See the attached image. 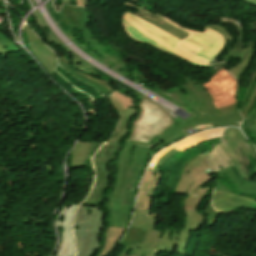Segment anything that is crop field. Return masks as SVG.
Returning a JSON list of instances; mask_svg holds the SVG:
<instances>
[{
    "label": "crop field",
    "mask_w": 256,
    "mask_h": 256,
    "mask_svg": "<svg viewBox=\"0 0 256 256\" xmlns=\"http://www.w3.org/2000/svg\"><path fill=\"white\" fill-rule=\"evenodd\" d=\"M162 174L146 171L140 185L137 205L131 225L121 243L126 252L135 254L148 253L145 256H158L160 251L172 252L178 245L177 253L185 255L191 230H197L202 225L203 213L185 212V223L182 231L165 229V232L155 231V211L150 212V194Z\"/></svg>",
    "instance_id": "1"
},
{
    "label": "crop field",
    "mask_w": 256,
    "mask_h": 256,
    "mask_svg": "<svg viewBox=\"0 0 256 256\" xmlns=\"http://www.w3.org/2000/svg\"><path fill=\"white\" fill-rule=\"evenodd\" d=\"M211 127L212 126H201L196 129L200 131ZM185 136H187V134L182 133L163 142L153 151L135 145L133 152L122 149L118 153L117 159L115 160V165L118 168L117 177L105 206L110 216L107 220L108 226H127L133 208L138 179L150 157L157 150Z\"/></svg>",
    "instance_id": "2"
},
{
    "label": "crop field",
    "mask_w": 256,
    "mask_h": 256,
    "mask_svg": "<svg viewBox=\"0 0 256 256\" xmlns=\"http://www.w3.org/2000/svg\"><path fill=\"white\" fill-rule=\"evenodd\" d=\"M180 170L182 176L175 193L186 194L185 211H196V207L209 191V188L212 187L203 189L202 185L212 179L209 175L214 172L208 166L206 155L203 153L188 158Z\"/></svg>",
    "instance_id": "3"
},
{
    "label": "crop field",
    "mask_w": 256,
    "mask_h": 256,
    "mask_svg": "<svg viewBox=\"0 0 256 256\" xmlns=\"http://www.w3.org/2000/svg\"><path fill=\"white\" fill-rule=\"evenodd\" d=\"M141 113L134 121L129 141L149 144L157 135L162 136L173 123L171 116L148 99L139 103Z\"/></svg>",
    "instance_id": "4"
},
{
    "label": "crop field",
    "mask_w": 256,
    "mask_h": 256,
    "mask_svg": "<svg viewBox=\"0 0 256 256\" xmlns=\"http://www.w3.org/2000/svg\"><path fill=\"white\" fill-rule=\"evenodd\" d=\"M99 207L81 205L78 208L75 234L77 237V256H92L98 249V236L103 229V212Z\"/></svg>",
    "instance_id": "5"
},
{
    "label": "crop field",
    "mask_w": 256,
    "mask_h": 256,
    "mask_svg": "<svg viewBox=\"0 0 256 256\" xmlns=\"http://www.w3.org/2000/svg\"><path fill=\"white\" fill-rule=\"evenodd\" d=\"M186 84L179 86L185 94L190 97L194 103L202 110L205 117L213 125L226 126L234 125L236 121H241L242 117L238 111L226 116L219 117L212 103L213 99L200 84L192 81L189 77L181 74Z\"/></svg>",
    "instance_id": "6"
},
{
    "label": "crop field",
    "mask_w": 256,
    "mask_h": 256,
    "mask_svg": "<svg viewBox=\"0 0 256 256\" xmlns=\"http://www.w3.org/2000/svg\"><path fill=\"white\" fill-rule=\"evenodd\" d=\"M161 94L169 95L172 99L176 100L178 103L191 108L192 110L196 111L200 115L183 123V124L180 122H174L170 126L168 131L162 137L157 136V138L153 142H151L149 145L125 141L124 145H123L124 149L132 151L135 144L142 145L145 147H150L158 142L165 141L192 126L201 125V124H210L207 121V119L204 117V115L201 113L200 109L193 103V101L191 99H189L181 91V89L179 87H175V88H173L165 93H161Z\"/></svg>",
    "instance_id": "7"
},
{
    "label": "crop field",
    "mask_w": 256,
    "mask_h": 256,
    "mask_svg": "<svg viewBox=\"0 0 256 256\" xmlns=\"http://www.w3.org/2000/svg\"><path fill=\"white\" fill-rule=\"evenodd\" d=\"M120 146L121 143L108 142V146L104 145L95 155L96 161L93 162L96 170V184L87 201L83 204L99 206L109 181V163Z\"/></svg>",
    "instance_id": "8"
},
{
    "label": "crop field",
    "mask_w": 256,
    "mask_h": 256,
    "mask_svg": "<svg viewBox=\"0 0 256 256\" xmlns=\"http://www.w3.org/2000/svg\"><path fill=\"white\" fill-rule=\"evenodd\" d=\"M210 93L214 101H212L215 109L237 102L236 80L230 76L224 67L214 74L209 82L201 83Z\"/></svg>",
    "instance_id": "9"
},
{
    "label": "crop field",
    "mask_w": 256,
    "mask_h": 256,
    "mask_svg": "<svg viewBox=\"0 0 256 256\" xmlns=\"http://www.w3.org/2000/svg\"><path fill=\"white\" fill-rule=\"evenodd\" d=\"M58 16L59 18L57 20L54 17L55 20L65 30L71 39H75L72 36L73 34L70 33L72 30L71 27L76 26L84 34L85 38L90 44L97 45L100 43L88 27L89 14L84 7H71L65 4Z\"/></svg>",
    "instance_id": "10"
},
{
    "label": "crop field",
    "mask_w": 256,
    "mask_h": 256,
    "mask_svg": "<svg viewBox=\"0 0 256 256\" xmlns=\"http://www.w3.org/2000/svg\"><path fill=\"white\" fill-rule=\"evenodd\" d=\"M77 204L66 202L56 216V226L60 233L61 243L55 256H73L74 241L71 223Z\"/></svg>",
    "instance_id": "11"
},
{
    "label": "crop field",
    "mask_w": 256,
    "mask_h": 256,
    "mask_svg": "<svg viewBox=\"0 0 256 256\" xmlns=\"http://www.w3.org/2000/svg\"><path fill=\"white\" fill-rule=\"evenodd\" d=\"M215 190L229 191L237 195L256 194V183L244 181L235 166L217 172Z\"/></svg>",
    "instance_id": "12"
},
{
    "label": "crop field",
    "mask_w": 256,
    "mask_h": 256,
    "mask_svg": "<svg viewBox=\"0 0 256 256\" xmlns=\"http://www.w3.org/2000/svg\"><path fill=\"white\" fill-rule=\"evenodd\" d=\"M166 20L179 26V27H182L167 17H166ZM182 28H184V27H182ZM184 29H186V28H184ZM186 30L191 32V36L185 40L203 48L198 53V55L208 59V61L220 51V49L222 48V46L224 44V40H223L222 36L214 31L209 30V29L204 28L203 32L190 30V29H186Z\"/></svg>",
    "instance_id": "13"
},
{
    "label": "crop field",
    "mask_w": 256,
    "mask_h": 256,
    "mask_svg": "<svg viewBox=\"0 0 256 256\" xmlns=\"http://www.w3.org/2000/svg\"><path fill=\"white\" fill-rule=\"evenodd\" d=\"M111 94L112 96L108 95L106 97L117 111L127 109V108L130 109V110L118 112L120 115V123L116 129V132H119L121 134L114 132L113 135L116 137H111L109 141L119 142L120 138L125 135V131L127 129L126 128L127 122L133 117L135 110H134L133 101L131 98L124 96L117 91H114Z\"/></svg>",
    "instance_id": "14"
},
{
    "label": "crop field",
    "mask_w": 256,
    "mask_h": 256,
    "mask_svg": "<svg viewBox=\"0 0 256 256\" xmlns=\"http://www.w3.org/2000/svg\"><path fill=\"white\" fill-rule=\"evenodd\" d=\"M225 128H221V129H212V130H208V131H203V132H199L193 136H190L188 138H185L181 141H179L178 143L161 150L160 152L157 153V155L153 158V160L151 161V163L148 166V170L152 171L153 168L155 167L156 163L160 160V158L167 153L168 151H170L173 148L178 149L179 151H183L186 150L190 147H193L201 142L207 141L209 139H214V138H219L222 135V132Z\"/></svg>",
    "instance_id": "15"
},
{
    "label": "crop field",
    "mask_w": 256,
    "mask_h": 256,
    "mask_svg": "<svg viewBox=\"0 0 256 256\" xmlns=\"http://www.w3.org/2000/svg\"><path fill=\"white\" fill-rule=\"evenodd\" d=\"M23 31L27 34L28 42L31 43L29 47L33 54L38 58L42 65L45 66L48 73L52 75L55 70L57 56L38 39L27 25H25Z\"/></svg>",
    "instance_id": "16"
},
{
    "label": "crop field",
    "mask_w": 256,
    "mask_h": 256,
    "mask_svg": "<svg viewBox=\"0 0 256 256\" xmlns=\"http://www.w3.org/2000/svg\"><path fill=\"white\" fill-rule=\"evenodd\" d=\"M213 206L219 213L233 208H248L256 210V200L237 196L229 192H214Z\"/></svg>",
    "instance_id": "17"
},
{
    "label": "crop field",
    "mask_w": 256,
    "mask_h": 256,
    "mask_svg": "<svg viewBox=\"0 0 256 256\" xmlns=\"http://www.w3.org/2000/svg\"><path fill=\"white\" fill-rule=\"evenodd\" d=\"M125 5L132 6L134 8L139 9L140 12H138L136 14V16L144 19L148 23L164 30L165 32H167V33H169V34H171V35H173V36H175V37H177L181 40L188 37V35H189L188 32H185V31L171 25L170 23L164 21L163 19L159 18L158 16L152 14L149 11H146V10H144V9L134 5V4H131L129 2H125Z\"/></svg>",
    "instance_id": "18"
},
{
    "label": "crop field",
    "mask_w": 256,
    "mask_h": 256,
    "mask_svg": "<svg viewBox=\"0 0 256 256\" xmlns=\"http://www.w3.org/2000/svg\"><path fill=\"white\" fill-rule=\"evenodd\" d=\"M125 15L134 23L136 24L139 28L143 29L144 31L148 32L149 34H151L152 36L156 37L157 39L165 42L166 44L170 45L171 47H175L176 43L181 41L167 33H165L164 31L148 24L147 22L143 21L142 19L131 15L130 13H128L127 11H125Z\"/></svg>",
    "instance_id": "19"
},
{
    "label": "crop field",
    "mask_w": 256,
    "mask_h": 256,
    "mask_svg": "<svg viewBox=\"0 0 256 256\" xmlns=\"http://www.w3.org/2000/svg\"><path fill=\"white\" fill-rule=\"evenodd\" d=\"M33 16L37 19L39 25L42 27V29L44 30L43 26H45V23L43 22L42 18L40 17V15H34ZM45 31V30H44ZM46 33V31H45ZM47 34V33H46ZM47 39L50 40V42L58 47H60L63 50H66L69 52V54H71L72 56V60H73V67L82 71H86L92 75L97 76V71H94L92 66L88 65L87 63H85L84 61H82L80 58H78L75 54H73L68 48H66L53 34L52 32L49 30V33L47 34ZM99 77V76H97Z\"/></svg>",
    "instance_id": "20"
},
{
    "label": "crop field",
    "mask_w": 256,
    "mask_h": 256,
    "mask_svg": "<svg viewBox=\"0 0 256 256\" xmlns=\"http://www.w3.org/2000/svg\"><path fill=\"white\" fill-rule=\"evenodd\" d=\"M208 161L215 172L233 166L230 158L218 143L210 150L208 154Z\"/></svg>",
    "instance_id": "21"
},
{
    "label": "crop field",
    "mask_w": 256,
    "mask_h": 256,
    "mask_svg": "<svg viewBox=\"0 0 256 256\" xmlns=\"http://www.w3.org/2000/svg\"><path fill=\"white\" fill-rule=\"evenodd\" d=\"M59 65L62 66L65 70H67L70 74L75 76L80 81L94 87L96 90H98L102 95H108L113 90L108 86V83L106 81H97L91 77L85 76L83 74H80L78 72L70 70L68 65L66 64V61L60 58Z\"/></svg>",
    "instance_id": "22"
},
{
    "label": "crop field",
    "mask_w": 256,
    "mask_h": 256,
    "mask_svg": "<svg viewBox=\"0 0 256 256\" xmlns=\"http://www.w3.org/2000/svg\"><path fill=\"white\" fill-rule=\"evenodd\" d=\"M122 26H123L124 31L126 32V35H127L129 38H131V39H133V40H136V41L146 42V43H148V44H150V45H152V46H154V47H156V48H158V49H160V50L169 52V53H171V54H173V55H175V56H177V57H179V58H181V59H183V60H185V61H187V62H190V61L184 59L183 57H181V56H179V55H177V54H174V53H172V52L166 50L165 48L161 47V46L158 45L157 43L153 42L152 40H150L149 38H147L146 36H144L143 34H141L138 30H136L131 24H129V23H128L126 20H124L123 18H122ZM190 63H192V62H190ZM192 64H195V65L201 66V67H207V66H202V65H200V64H196V63H192Z\"/></svg>",
    "instance_id": "23"
},
{
    "label": "crop field",
    "mask_w": 256,
    "mask_h": 256,
    "mask_svg": "<svg viewBox=\"0 0 256 256\" xmlns=\"http://www.w3.org/2000/svg\"><path fill=\"white\" fill-rule=\"evenodd\" d=\"M223 138L235 151L238 159H243L239 147L246 146V150L248 151L250 145L243 138L240 132L236 128H228L226 131H224Z\"/></svg>",
    "instance_id": "24"
},
{
    "label": "crop field",
    "mask_w": 256,
    "mask_h": 256,
    "mask_svg": "<svg viewBox=\"0 0 256 256\" xmlns=\"http://www.w3.org/2000/svg\"><path fill=\"white\" fill-rule=\"evenodd\" d=\"M123 18H125L128 22H130L136 29H138L141 33H143L144 35H146L147 37H149L150 39L154 40L155 42H157L158 44L162 45L163 47L183 56L184 58L192 61V62H197V63H201L203 65H207V61L201 59V58H198L178 47H175L174 49L169 47L168 45H166L165 43L157 40L156 38L152 37L151 35H149L148 33L144 32L143 30L139 29L136 25H134L125 15H123Z\"/></svg>",
    "instance_id": "25"
},
{
    "label": "crop field",
    "mask_w": 256,
    "mask_h": 256,
    "mask_svg": "<svg viewBox=\"0 0 256 256\" xmlns=\"http://www.w3.org/2000/svg\"><path fill=\"white\" fill-rule=\"evenodd\" d=\"M91 142H78L71 153V168L83 167L85 154Z\"/></svg>",
    "instance_id": "26"
},
{
    "label": "crop field",
    "mask_w": 256,
    "mask_h": 256,
    "mask_svg": "<svg viewBox=\"0 0 256 256\" xmlns=\"http://www.w3.org/2000/svg\"><path fill=\"white\" fill-rule=\"evenodd\" d=\"M127 228V227H126ZM126 228L109 227L105 237V247L99 256H106L115 243L119 240Z\"/></svg>",
    "instance_id": "27"
},
{
    "label": "crop field",
    "mask_w": 256,
    "mask_h": 256,
    "mask_svg": "<svg viewBox=\"0 0 256 256\" xmlns=\"http://www.w3.org/2000/svg\"><path fill=\"white\" fill-rule=\"evenodd\" d=\"M255 98H256V73L249 84L247 93L241 104L242 107H241L240 113L244 118L247 116L248 111L251 108Z\"/></svg>",
    "instance_id": "28"
},
{
    "label": "crop field",
    "mask_w": 256,
    "mask_h": 256,
    "mask_svg": "<svg viewBox=\"0 0 256 256\" xmlns=\"http://www.w3.org/2000/svg\"><path fill=\"white\" fill-rule=\"evenodd\" d=\"M90 54L93 55L94 57H96L97 59H99L100 61L104 62L108 66L120 71L123 74L125 72H127V66L125 63H123L124 61L122 62V59H119L118 57L114 56L113 54L106 55L104 53V56H105L104 58H99L98 55L93 52H91Z\"/></svg>",
    "instance_id": "29"
},
{
    "label": "crop field",
    "mask_w": 256,
    "mask_h": 256,
    "mask_svg": "<svg viewBox=\"0 0 256 256\" xmlns=\"http://www.w3.org/2000/svg\"><path fill=\"white\" fill-rule=\"evenodd\" d=\"M252 54H253V42H251V48H250V51H249L246 61L241 60V62L239 64H237L236 66H234L233 68H231L228 71L232 75H234L237 79H240V77L242 76V74L244 73V71L246 70V68L248 67V65L250 63Z\"/></svg>",
    "instance_id": "30"
},
{
    "label": "crop field",
    "mask_w": 256,
    "mask_h": 256,
    "mask_svg": "<svg viewBox=\"0 0 256 256\" xmlns=\"http://www.w3.org/2000/svg\"><path fill=\"white\" fill-rule=\"evenodd\" d=\"M250 128L253 136L256 135V109L253 108L251 113L244 119L241 129L244 130L246 128Z\"/></svg>",
    "instance_id": "31"
},
{
    "label": "crop field",
    "mask_w": 256,
    "mask_h": 256,
    "mask_svg": "<svg viewBox=\"0 0 256 256\" xmlns=\"http://www.w3.org/2000/svg\"><path fill=\"white\" fill-rule=\"evenodd\" d=\"M205 27L209 28V29H212L214 31H217L219 32L225 39V44L223 46V48L221 49V51L214 57L212 58L210 62H212L214 59H216L218 57V55L222 52V50L225 48V45L228 41L232 40L233 37L232 35L230 34V32L228 30H226L225 28L221 27V26H217V25H206Z\"/></svg>",
    "instance_id": "32"
},
{
    "label": "crop field",
    "mask_w": 256,
    "mask_h": 256,
    "mask_svg": "<svg viewBox=\"0 0 256 256\" xmlns=\"http://www.w3.org/2000/svg\"><path fill=\"white\" fill-rule=\"evenodd\" d=\"M204 214H208V228H211V226L213 225L218 213H216L211 205V201L209 203V205L207 206L206 210L204 211Z\"/></svg>",
    "instance_id": "33"
},
{
    "label": "crop field",
    "mask_w": 256,
    "mask_h": 256,
    "mask_svg": "<svg viewBox=\"0 0 256 256\" xmlns=\"http://www.w3.org/2000/svg\"><path fill=\"white\" fill-rule=\"evenodd\" d=\"M0 42L11 52L14 53L16 50L20 49L15 46L7 37L0 33Z\"/></svg>",
    "instance_id": "34"
},
{
    "label": "crop field",
    "mask_w": 256,
    "mask_h": 256,
    "mask_svg": "<svg viewBox=\"0 0 256 256\" xmlns=\"http://www.w3.org/2000/svg\"><path fill=\"white\" fill-rule=\"evenodd\" d=\"M178 46H180V47H182V48H184V49H186L190 52H193L195 54H197L201 50V48H199V47H197V46H195V45H193V44H191V43H189L185 40H183L181 43H179Z\"/></svg>",
    "instance_id": "35"
},
{
    "label": "crop field",
    "mask_w": 256,
    "mask_h": 256,
    "mask_svg": "<svg viewBox=\"0 0 256 256\" xmlns=\"http://www.w3.org/2000/svg\"><path fill=\"white\" fill-rule=\"evenodd\" d=\"M236 109H238L237 103L234 105L228 106V107L217 109V112H218L219 116H221V115L229 114V113L235 111Z\"/></svg>",
    "instance_id": "36"
},
{
    "label": "crop field",
    "mask_w": 256,
    "mask_h": 256,
    "mask_svg": "<svg viewBox=\"0 0 256 256\" xmlns=\"http://www.w3.org/2000/svg\"><path fill=\"white\" fill-rule=\"evenodd\" d=\"M100 145V142H92V144H91V146H90V148H89V150H88V152H87V155H86V157H85V160L87 161V160H89V157H92L91 156V153L94 151V149H96L95 147L96 146H99ZM100 147V146H99ZM84 166H88V167H90L89 165H88V162L87 163H84Z\"/></svg>",
    "instance_id": "37"
},
{
    "label": "crop field",
    "mask_w": 256,
    "mask_h": 256,
    "mask_svg": "<svg viewBox=\"0 0 256 256\" xmlns=\"http://www.w3.org/2000/svg\"><path fill=\"white\" fill-rule=\"evenodd\" d=\"M176 152H178V151L174 149V150L170 151L169 153H167L166 155H164V156L161 158V160L157 163V165H156V167L154 168L153 171H157L158 168H159V166L161 165V163L164 162L169 156H171L172 154H174V153H176Z\"/></svg>",
    "instance_id": "38"
},
{
    "label": "crop field",
    "mask_w": 256,
    "mask_h": 256,
    "mask_svg": "<svg viewBox=\"0 0 256 256\" xmlns=\"http://www.w3.org/2000/svg\"><path fill=\"white\" fill-rule=\"evenodd\" d=\"M0 53H10L2 44H0Z\"/></svg>",
    "instance_id": "39"
},
{
    "label": "crop field",
    "mask_w": 256,
    "mask_h": 256,
    "mask_svg": "<svg viewBox=\"0 0 256 256\" xmlns=\"http://www.w3.org/2000/svg\"><path fill=\"white\" fill-rule=\"evenodd\" d=\"M144 255H145V254H144ZM144 255H130V254L124 253L123 250H122V252L119 254V256H144Z\"/></svg>",
    "instance_id": "40"
},
{
    "label": "crop field",
    "mask_w": 256,
    "mask_h": 256,
    "mask_svg": "<svg viewBox=\"0 0 256 256\" xmlns=\"http://www.w3.org/2000/svg\"><path fill=\"white\" fill-rule=\"evenodd\" d=\"M242 1L256 5V0H242Z\"/></svg>",
    "instance_id": "41"
},
{
    "label": "crop field",
    "mask_w": 256,
    "mask_h": 256,
    "mask_svg": "<svg viewBox=\"0 0 256 256\" xmlns=\"http://www.w3.org/2000/svg\"><path fill=\"white\" fill-rule=\"evenodd\" d=\"M77 5H83V0H76Z\"/></svg>",
    "instance_id": "42"
},
{
    "label": "crop field",
    "mask_w": 256,
    "mask_h": 256,
    "mask_svg": "<svg viewBox=\"0 0 256 256\" xmlns=\"http://www.w3.org/2000/svg\"><path fill=\"white\" fill-rule=\"evenodd\" d=\"M61 3H69L70 4V0H62Z\"/></svg>",
    "instance_id": "43"
},
{
    "label": "crop field",
    "mask_w": 256,
    "mask_h": 256,
    "mask_svg": "<svg viewBox=\"0 0 256 256\" xmlns=\"http://www.w3.org/2000/svg\"><path fill=\"white\" fill-rule=\"evenodd\" d=\"M255 173H256V167L254 169H252Z\"/></svg>",
    "instance_id": "44"
},
{
    "label": "crop field",
    "mask_w": 256,
    "mask_h": 256,
    "mask_svg": "<svg viewBox=\"0 0 256 256\" xmlns=\"http://www.w3.org/2000/svg\"><path fill=\"white\" fill-rule=\"evenodd\" d=\"M132 2V1H131ZM135 3V2H134ZM138 4V3H137ZM140 5V4H139ZM142 6V5H141ZM144 7V6H143ZM146 8V7H145ZM148 9V8H147ZM151 10V9H150Z\"/></svg>",
    "instance_id": "45"
},
{
    "label": "crop field",
    "mask_w": 256,
    "mask_h": 256,
    "mask_svg": "<svg viewBox=\"0 0 256 256\" xmlns=\"http://www.w3.org/2000/svg\"><path fill=\"white\" fill-rule=\"evenodd\" d=\"M116 85V84H115ZM118 86V85H117ZM119 87V86H118ZM120 88V87H119ZM126 92H128V91H126Z\"/></svg>",
    "instance_id": "46"
},
{
    "label": "crop field",
    "mask_w": 256,
    "mask_h": 256,
    "mask_svg": "<svg viewBox=\"0 0 256 256\" xmlns=\"http://www.w3.org/2000/svg\"><path fill=\"white\" fill-rule=\"evenodd\" d=\"M254 138H255V140H256V136H255Z\"/></svg>",
    "instance_id": "47"
}]
</instances>
